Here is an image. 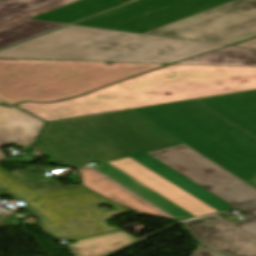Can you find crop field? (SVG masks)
Wrapping results in <instances>:
<instances>
[{"mask_svg": "<svg viewBox=\"0 0 256 256\" xmlns=\"http://www.w3.org/2000/svg\"><path fill=\"white\" fill-rule=\"evenodd\" d=\"M40 142L61 162L97 170L182 220L233 209L146 152L181 144L129 110L53 121Z\"/></svg>", "mask_w": 256, "mask_h": 256, "instance_id": "8a807250", "label": "crop field"}, {"mask_svg": "<svg viewBox=\"0 0 256 256\" xmlns=\"http://www.w3.org/2000/svg\"><path fill=\"white\" fill-rule=\"evenodd\" d=\"M254 89L256 67L172 64L74 99L16 106L50 121Z\"/></svg>", "mask_w": 256, "mask_h": 256, "instance_id": "ac0d7876", "label": "crop field"}, {"mask_svg": "<svg viewBox=\"0 0 256 256\" xmlns=\"http://www.w3.org/2000/svg\"><path fill=\"white\" fill-rule=\"evenodd\" d=\"M225 45L69 25L0 51V58L171 64Z\"/></svg>", "mask_w": 256, "mask_h": 256, "instance_id": "34b2d1b8", "label": "crop field"}, {"mask_svg": "<svg viewBox=\"0 0 256 256\" xmlns=\"http://www.w3.org/2000/svg\"><path fill=\"white\" fill-rule=\"evenodd\" d=\"M132 111L244 182L256 176V139L197 101Z\"/></svg>", "mask_w": 256, "mask_h": 256, "instance_id": "412701ff", "label": "crop field"}, {"mask_svg": "<svg viewBox=\"0 0 256 256\" xmlns=\"http://www.w3.org/2000/svg\"><path fill=\"white\" fill-rule=\"evenodd\" d=\"M164 64L0 60V99L56 101L154 69Z\"/></svg>", "mask_w": 256, "mask_h": 256, "instance_id": "f4fd0767", "label": "crop field"}, {"mask_svg": "<svg viewBox=\"0 0 256 256\" xmlns=\"http://www.w3.org/2000/svg\"><path fill=\"white\" fill-rule=\"evenodd\" d=\"M2 190L24 201L50 234L68 241L119 231L118 227L107 226L105 221L131 212L79 184L30 189L0 168ZM102 203H110L120 210H101Z\"/></svg>", "mask_w": 256, "mask_h": 256, "instance_id": "dd49c442", "label": "crop field"}, {"mask_svg": "<svg viewBox=\"0 0 256 256\" xmlns=\"http://www.w3.org/2000/svg\"><path fill=\"white\" fill-rule=\"evenodd\" d=\"M144 34L230 45L256 36V0H235Z\"/></svg>", "mask_w": 256, "mask_h": 256, "instance_id": "e52e79f7", "label": "crop field"}, {"mask_svg": "<svg viewBox=\"0 0 256 256\" xmlns=\"http://www.w3.org/2000/svg\"><path fill=\"white\" fill-rule=\"evenodd\" d=\"M232 0H137L75 25L142 33Z\"/></svg>", "mask_w": 256, "mask_h": 256, "instance_id": "d8731c3e", "label": "crop field"}, {"mask_svg": "<svg viewBox=\"0 0 256 256\" xmlns=\"http://www.w3.org/2000/svg\"><path fill=\"white\" fill-rule=\"evenodd\" d=\"M148 154L235 208L256 203V189L184 144Z\"/></svg>", "mask_w": 256, "mask_h": 256, "instance_id": "5a996713", "label": "crop field"}, {"mask_svg": "<svg viewBox=\"0 0 256 256\" xmlns=\"http://www.w3.org/2000/svg\"><path fill=\"white\" fill-rule=\"evenodd\" d=\"M202 243L233 256H256V239L214 215L185 222Z\"/></svg>", "mask_w": 256, "mask_h": 256, "instance_id": "3316defc", "label": "crop field"}, {"mask_svg": "<svg viewBox=\"0 0 256 256\" xmlns=\"http://www.w3.org/2000/svg\"><path fill=\"white\" fill-rule=\"evenodd\" d=\"M198 101L256 137V91Z\"/></svg>", "mask_w": 256, "mask_h": 256, "instance_id": "28ad6ade", "label": "crop field"}, {"mask_svg": "<svg viewBox=\"0 0 256 256\" xmlns=\"http://www.w3.org/2000/svg\"><path fill=\"white\" fill-rule=\"evenodd\" d=\"M84 187L139 213L175 220L92 168L78 170Z\"/></svg>", "mask_w": 256, "mask_h": 256, "instance_id": "d1516ede", "label": "crop field"}, {"mask_svg": "<svg viewBox=\"0 0 256 256\" xmlns=\"http://www.w3.org/2000/svg\"><path fill=\"white\" fill-rule=\"evenodd\" d=\"M41 126L42 121L20 110L0 106V146L29 145L36 139ZM5 158L0 151V160Z\"/></svg>", "mask_w": 256, "mask_h": 256, "instance_id": "22f410ed", "label": "crop field"}, {"mask_svg": "<svg viewBox=\"0 0 256 256\" xmlns=\"http://www.w3.org/2000/svg\"><path fill=\"white\" fill-rule=\"evenodd\" d=\"M121 4L124 3L119 0H79L33 17V19L70 23Z\"/></svg>", "mask_w": 256, "mask_h": 256, "instance_id": "cbeb9de0", "label": "crop field"}, {"mask_svg": "<svg viewBox=\"0 0 256 256\" xmlns=\"http://www.w3.org/2000/svg\"><path fill=\"white\" fill-rule=\"evenodd\" d=\"M137 240L139 239L119 231L79 240L71 247L76 256H107Z\"/></svg>", "mask_w": 256, "mask_h": 256, "instance_id": "5142ce71", "label": "crop field"}, {"mask_svg": "<svg viewBox=\"0 0 256 256\" xmlns=\"http://www.w3.org/2000/svg\"><path fill=\"white\" fill-rule=\"evenodd\" d=\"M179 64L256 66V50L230 46Z\"/></svg>", "mask_w": 256, "mask_h": 256, "instance_id": "d9b57169", "label": "crop field"}, {"mask_svg": "<svg viewBox=\"0 0 256 256\" xmlns=\"http://www.w3.org/2000/svg\"><path fill=\"white\" fill-rule=\"evenodd\" d=\"M64 24L25 20L13 26L0 30V48L36 36Z\"/></svg>", "mask_w": 256, "mask_h": 256, "instance_id": "733c2abd", "label": "crop field"}, {"mask_svg": "<svg viewBox=\"0 0 256 256\" xmlns=\"http://www.w3.org/2000/svg\"><path fill=\"white\" fill-rule=\"evenodd\" d=\"M56 1L59 0H2L0 1V22Z\"/></svg>", "mask_w": 256, "mask_h": 256, "instance_id": "4a817a6b", "label": "crop field"}, {"mask_svg": "<svg viewBox=\"0 0 256 256\" xmlns=\"http://www.w3.org/2000/svg\"><path fill=\"white\" fill-rule=\"evenodd\" d=\"M74 1H77V0H62V1L50 4V5H47L45 7H42V8H39V9L30 11V12H27V13H25L23 15L15 17V18H13L11 20H8V21L5 20L6 22L0 23V29L5 28L7 26H10L12 24L18 23V22L23 21L25 19L31 18V17L36 16L38 14H41L43 12L49 11L51 9H54V8L63 6L65 4L74 2Z\"/></svg>", "mask_w": 256, "mask_h": 256, "instance_id": "bc2a9ffb", "label": "crop field"}, {"mask_svg": "<svg viewBox=\"0 0 256 256\" xmlns=\"http://www.w3.org/2000/svg\"><path fill=\"white\" fill-rule=\"evenodd\" d=\"M241 211L247 214L250 218L233 224L256 238V206L241 209Z\"/></svg>", "mask_w": 256, "mask_h": 256, "instance_id": "214f88e0", "label": "crop field"}, {"mask_svg": "<svg viewBox=\"0 0 256 256\" xmlns=\"http://www.w3.org/2000/svg\"><path fill=\"white\" fill-rule=\"evenodd\" d=\"M191 256H226V255L213 252L199 244L198 247L191 254Z\"/></svg>", "mask_w": 256, "mask_h": 256, "instance_id": "92a150f3", "label": "crop field"}, {"mask_svg": "<svg viewBox=\"0 0 256 256\" xmlns=\"http://www.w3.org/2000/svg\"><path fill=\"white\" fill-rule=\"evenodd\" d=\"M34 148H36L38 151H40L45 157H47L50 161H48L47 163H54L56 165L59 166H65L64 164L55 161L50 155L49 153L40 145V143L36 140L32 145H30Z\"/></svg>", "mask_w": 256, "mask_h": 256, "instance_id": "dafd665d", "label": "crop field"}, {"mask_svg": "<svg viewBox=\"0 0 256 256\" xmlns=\"http://www.w3.org/2000/svg\"><path fill=\"white\" fill-rule=\"evenodd\" d=\"M234 46H239V47H247V48H254L256 49V38L252 40H248L239 44H236Z\"/></svg>", "mask_w": 256, "mask_h": 256, "instance_id": "00972430", "label": "crop field"}, {"mask_svg": "<svg viewBox=\"0 0 256 256\" xmlns=\"http://www.w3.org/2000/svg\"><path fill=\"white\" fill-rule=\"evenodd\" d=\"M71 173H73V175L70 177L71 182H73L74 184L78 183V176H77L76 172L73 171Z\"/></svg>", "mask_w": 256, "mask_h": 256, "instance_id": "a9b5d70f", "label": "crop field"}, {"mask_svg": "<svg viewBox=\"0 0 256 256\" xmlns=\"http://www.w3.org/2000/svg\"><path fill=\"white\" fill-rule=\"evenodd\" d=\"M246 183H248V184H250L251 186H253L254 188H256V179H255V178L252 179V180H250V181H248V182H246Z\"/></svg>", "mask_w": 256, "mask_h": 256, "instance_id": "4177f3b9", "label": "crop field"}, {"mask_svg": "<svg viewBox=\"0 0 256 256\" xmlns=\"http://www.w3.org/2000/svg\"><path fill=\"white\" fill-rule=\"evenodd\" d=\"M4 195H9V196H11V197H14V196L10 195L9 193H7V192H5V191L0 192V196H4ZM14 198H15V197H14Z\"/></svg>", "mask_w": 256, "mask_h": 256, "instance_id": "730fd06b", "label": "crop field"}, {"mask_svg": "<svg viewBox=\"0 0 256 256\" xmlns=\"http://www.w3.org/2000/svg\"><path fill=\"white\" fill-rule=\"evenodd\" d=\"M1 102V101H0Z\"/></svg>", "mask_w": 256, "mask_h": 256, "instance_id": "eef30255", "label": "crop field"}]
</instances>
